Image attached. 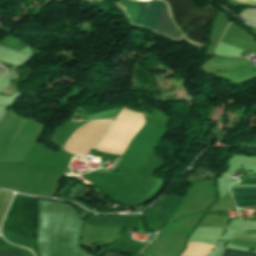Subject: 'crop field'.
<instances>
[{"instance_id": "crop-field-3", "label": "crop field", "mask_w": 256, "mask_h": 256, "mask_svg": "<svg viewBox=\"0 0 256 256\" xmlns=\"http://www.w3.org/2000/svg\"><path fill=\"white\" fill-rule=\"evenodd\" d=\"M167 1L172 18L182 35L196 45H202L214 9L210 6L199 8L189 0Z\"/></svg>"}, {"instance_id": "crop-field-8", "label": "crop field", "mask_w": 256, "mask_h": 256, "mask_svg": "<svg viewBox=\"0 0 256 256\" xmlns=\"http://www.w3.org/2000/svg\"><path fill=\"white\" fill-rule=\"evenodd\" d=\"M20 253L17 251H0V256H20Z\"/></svg>"}, {"instance_id": "crop-field-7", "label": "crop field", "mask_w": 256, "mask_h": 256, "mask_svg": "<svg viewBox=\"0 0 256 256\" xmlns=\"http://www.w3.org/2000/svg\"><path fill=\"white\" fill-rule=\"evenodd\" d=\"M222 256H256L254 252H243L226 248Z\"/></svg>"}, {"instance_id": "crop-field-1", "label": "crop field", "mask_w": 256, "mask_h": 256, "mask_svg": "<svg viewBox=\"0 0 256 256\" xmlns=\"http://www.w3.org/2000/svg\"><path fill=\"white\" fill-rule=\"evenodd\" d=\"M82 222L71 206L39 199V256H88L78 244Z\"/></svg>"}, {"instance_id": "crop-field-2", "label": "crop field", "mask_w": 256, "mask_h": 256, "mask_svg": "<svg viewBox=\"0 0 256 256\" xmlns=\"http://www.w3.org/2000/svg\"><path fill=\"white\" fill-rule=\"evenodd\" d=\"M117 4L126 12L131 24L144 27L159 34L164 5L163 1L151 0L145 2L121 0ZM160 34L175 40H179L182 36L170 18L166 3L164 5Z\"/></svg>"}, {"instance_id": "crop-field-6", "label": "crop field", "mask_w": 256, "mask_h": 256, "mask_svg": "<svg viewBox=\"0 0 256 256\" xmlns=\"http://www.w3.org/2000/svg\"><path fill=\"white\" fill-rule=\"evenodd\" d=\"M234 196L256 195V188H232Z\"/></svg>"}, {"instance_id": "crop-field-4", "label": "crop field", "mask_w": 256, "mask_h": 256, "mask_svg": "<svg viewBox=\"0 0 256 256\" xmlns=\"http://www.w3.org/2000/svg\"><path fill=\"white\" fill-rule=\"evenodd\" d=\"M35 198L17 195L13 200L2 228L33 240Z\"/></svg>"}, {"instance_id": "crop-field-10", "label": "crop field", "mask_w": 256, "mask_h": 256, "mask_svg": "<svg viewBox=\"0 0 256 256\" xmlns=\"http://www.w3.org/2000/svg\"><path fill=\"white\" fill-rule=\"evenodd\" d=\"M239 3H242V4H246V3H250V2H256V0H235Z\"/></svg>"}, {"instance_id": "crop-field-11", "label": "crop field", "mask_w": 256, "mask_h": 256, "mask_svg": "<svg viewBox=\"0 0 256 256\" xmlns=\"http://www.w3.org/2000/svg\"><path fill=\"white\" fill-rule=\"evenodd\" d=\"M254 177H256V174L255 175H253Z\"/></svg>"}, {"instance_id": "crop-field-5", "label": "crop field", "mask_w": 256, "mask_h": 256, "mask_svg": "<svg viewBox=\"0 0 256 256\" xmlns=\"http://www.w3.org/2000/svg\"><path fill=\"white\" fill-rule=\"evenodd\" d=\"M237 207L256 205V196L236 197Z\"/></svg>"}, {"instance_id": "crop-field-9", "label": "crop field", "mask_w": 256, "mask_h": 256, "mask_svg": "<svg viewBox=\"0 0 256 256\" xmlns=\"http://www.w3.org/2000/svg\"><path fill=\"white\" fill-rule=\"evenodd\" d=\"M243 184H249V185H256V179L255 178H248L242 180Z\"/></svg>"}]
</instances>
